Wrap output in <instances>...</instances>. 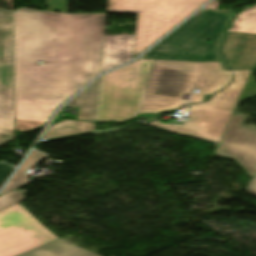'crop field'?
Listing matches in <instances>:
<instances>
[{"instance_id":"crop-field-11","label":"crop field","mask_w":256,"mask_h":256,"mask_svg":"<svg viewBox=\"0 0 256 256\" xmlns=\"http://www.w3.org/2000/svg\"><path fill=\"white\" fill-rule=\"evenodd\" d=\"M134 39L135 35H105L102 72L132 59Z\"/></svg>"},{"instance_id":"crop-field-4","label":"crop field","mask_w":256,"mask_h":256,"mask_svg":"<svg viewBox=\"0 0 256 256\" xmlns=\"http://www.w3.org/2000/svg\"><path fill=\"white\" fill-rule=\"evenodd\" d=\"M206 1L108 0L107 13H138L134 58Z\"/></svg>"},{"instance_id":"crop-field-3","label":"crop field","mask_w":256,"mask_h":256,"mask_svg":"<svg viewBox=\"0 0 256 256\" xmlns=\"http://www.w3.org/2000/svg\"><path fill=\"white\" fill-rule=\"evenodd\" d=\"M154 61L139 59L100 77L96 121L123 122L137 116Z\"/></svg>"},{"instance_id":"crop-field-8","label":"crop field","mask_w":256,"mask_h":256,"mask_svg":"<svg viewBox=\"0 0 256 256\" xmlns=\"http://www.w3.org/2000/svg\"><path fill=\"white\" fill-rule=\"evenodd\" d=\"M14 137L12 12L0 10V144Z\"/></svg>"},{"instance_id":"crop-field-20","label":"crop field","mask_w":256,"mask_h":256,"mask_svg":"<svg viewBox=\"0 0 256 256\" xmlns=\"http://www.w3.org/2000/svg\"><path fill=\"white\" fill-rule=\"evenodd\" d=\"M224 37H225V34H224V32H222L220 37H219V39H218V42H217V44H216V46L214 48V51H215V53L217 55L218 60L220 61L221 65H222L223 69L224 70H228V68H227V66H226V64H225V62H224L220 52L218 51V49H219V47H220Z\"/></svg>"},{"instance_id":"crop-field-19","label":"crop field","mask_w":256,"mask_h":256,"mask_svg":"<svg viewBox=\"0 0 256 256\" xmlns=\"http://www.w3.org/2000/svg\"><path fill=\"white\" fill-rule=\"evenodd\" d=\"M13 170V167H10L6 164H0V186L9 177Z\"/></svg>"},{"instance_id":"crop-field-6","label":"crop field","mask_w":256,"mask_h":256,"mask_svg":"<svg viewBox=\"0 0 256 256\" xmlns=\"http://www.w3.org/2000/svg\"><path fill=\"white\" fill-rule=\"evenodd\" d=\"M250 72L234 71V82L227 88L207 103L191 105L187 123L164 124L157 120L151 125L219 143Z\"/></svg>"},{"instance_id":"crop-field-2","label":"crop field","mask_w":256,"mask_h":256,"mask_svg":"<svg viewBox=\"0 0 256 256\" xmlns=\"http://www.w3.org/2000/svg\"><path fill=\"white\" fill-rule=\"evenodd\" d=\"M232 80L230 71H224L219 62L194 63L156 60L139 114L174 110L187 104L183 94H190L192 103L203 101L204 94H213Z\"/></svg>"},{"instance_id":"crop-field-21","label":"crop field","mask_w":256,"mask_h":256,"mask_svg":"<svg viewBox=\"0 0 256 256\" xmlns=\"http://www.w3.org/2000/svg\"><path fill=\"white\" fill-rule=\"evenodd\" d=\"M247 190L249 193L256 195V175L248 184Z\"/></svg>"},{"instance_id":"crop-field-14","label":"crop field","mask_w":256,"mask_h":256,"mask_svg":"<svg viewBox=\"0 0 256 256\" xmlns=\"http://www.w3.org/2000/svg\"><path fill=\"white\" fill-rule=\"evenodd\" d=\"M94 125L92 123L64 120L49 127L42 139L47 141L60 137L90 133L93 132Z\"/></svg>"},{"instance_id":"crop-field-5","label":"crop field","mask_w":256,"mask_h":256,"mask_svg":"<svg viewBox=\"0 0 256 256\" xmlns=\"http://www.w3.org/2000/svg\"><path fill=\"white\" fill-rule=\"evenodd\" d=\"M227 18L203 9L142 57L218 61L213 48ZM207 39H211L209 43Z\"/></svg>"},{"instance_id":"crop-field-7","label":"crop field","mask_w":256,"mask_h":256,"mask_svg":"<svg viewBox=\"0 0 256 256\" xmlns=\"http://www.w3.org/2000/svg\"><path fill=\"white\" fill-rule=\"evenodd\" d=\"M57 239L18 203L0 211V256H16Z\"/></svg>"},{"instance_id":"crop-field-17","label":"crop field","mask_w":256,"mask_h":256,"mask_svg":"<svg viewBox=\"0 0 256 256\" xmlns=\"http://www.w3.org/2000/svg\"><path fill=\"white\" fill-rule=\"evenodd\" d=\"M23 195L19 191H11L5 195L0 196V210L10 206L16 202L22 201Z\"/></svg>"},{"instance_id":"crop-field-23","label":"crop field","mask_w":256,"mask_h":256,"mask_svg":"<svg viewBox=\"0 0 256 256\" xmlns=\"http://www.w3.org/2000/svg\"><path fill=\"white\" fill-rule=\"evenodd\" d=\"M218 2L219 0H214L212 1L210 4H208L207 6H205L206 8H209V9H214L216 10L217 9V6H218Z\"/></svg>"},{"instance_id":"crop-field-10","label":"crop field","mask_w":256,"mask_h":256,"mask_svg":"<svg viewBox=\"0 0 256 256\" xmlns=\"http://www.w3.org/2000/svg\"><path fill=\"white\" fill-rule=\"evenodd\" d=\"M221 50L232 70H252L239 101L256 96V35L228 33Z\"/></svg>"},{"instance_id":"crop-field-12","label":"crop field","mask_w":256,"mask_h":256,"mask_svg":"<svg viewBox=\"0 0 256 256\" xmlns=\"http://www.w3.org/2000/svg\"><path fill=\"white\" fill-rule=\"evenodd\" d=\"M98 85L99 78L66 104L80 107L77 120L95 122Z\"/></svg>"},{"instance_id":"crop-field-15","label":"crop field","mask_w":256,"mask_h":256,"mask_svg":"<svg viewBox=\"0 0 256 256\" xmlns=\"http://www.w3.org/2000/svg\"><path fill=\"white\" fill-rule=\"evenodd\" d=\"M45 157L44 154L33 150L21 168L14 174V176L9 180V182L4 186V188L0 191V195L8 192L12 189H15L21 185L28 183L27 172L35 165V163L41 158Z\"/></svg>"},{"instance_id":"crop-field-18","label":"crop field","mask_w":256,"mask_h":256,"mask_svg":"<svg viewBox=\"0 0 256 256\" xmlns=\"http://www.w3.org/2000/svg\"><path fill=\"white\" fill-rule=\"evenodd\" d=\"M44 124L45 123L15 119V128L21 131H31L32 129L40 127Z\"/></svg>"},{"instance_id":"crop-field-13","label":"crop field","mask_w":256,"mask_h":256,"mask_svg":"<svg viewBox=\"0 0 256 256\" xmlns=\"http://www.w3.org/2000/svg\"><path fill=\"white\" fill-rule=\"evenodd\" d=\"M18 256H100L59 239Z\"/></svg>"},{"instance_id":"crop-field-22","label":"crop field","mask_w":256,"mask_h":256,"mask_svg":"<svg viewBox=\"0 0 256 256\" xmlns=\"http://www.w3.org/2000/svg\"><path fill=\"white\" fill-rule=\"evenodd\" d=\"M236 15H237V14H235V13L232 12V11H230V13H229V18H228V20H227V22H226V24H225V26H224V28H223L222 31H226V29H227V27L229 26L230 22L232 21V19H233Z\"/></svg>"},{"instance_id":"crop-field-24","label":"crop field","mask_w":256,"mask_h":256,"mask_svg":"<svg viewBox=\"0 0 256 256\" xmlns=\"http://www.w3.org/2000/svg\"><path fill=\"white\" fill-rule=\"evenodd\" d=\"M139 117L149 119L150 122L155 120L154 115H139Z\"/></svg>"},{"instance_id":"crop-field-16","label":"crop field","mask_w":256,"mask_h":256,"mask_svg":"<svg viewBox=\"0 0 256 256\" xmlns=\"http://www.w3.org/2000/svg\"><path fill=\"white\" fill-rule=\"evenodd\" d=\"M232 25L233 28H230L228 31L256 33V5L241 12Z\"/></svg>"},{"instance_id":"crop-field-9","label":"crop field","mask_w":256,"mask_h":256,"mask_svg":"<svg viewBox=\"0 0 256 256\" xmlns=\"http://www.w3.org/2000/svg\"><path fill=\"white\" fill-rule=\"evenodd\" d=\"M247 115H233L215 156L234 160L249 176L256 174V129L241 126Z\"/></svg>"},{"instance_id":"crop-field-1","label":"crop field","mask_w":256,"mask_h":256,"mask_svg":"<svg viewBox=\"0 0 256 256\" xmlns=\"http://www.w3.org/2000/svg\"><path fill=\"white\" fill-rule=\"evenodd\" d=\"M104 20L105 14L13 12L15 118L48 122L100 73Z\"/></svg>"}]
</instances>
